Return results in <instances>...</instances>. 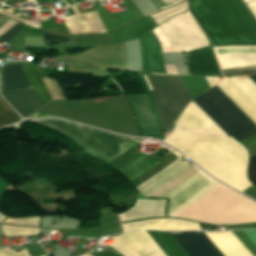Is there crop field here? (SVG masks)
<instances>
[{
	"label": "crop field",
	"mask_w": 256,
	"mask_h": 256,
	"mask_svg": "<svg viewBox=\"0 0 256 256\" xmlns=\"http://www.w3.org/2000/svg\"><path fill=\"white\" fill-rule=\"evenodd\" d=\"M191 97H196L206 91L209 87L205 77L181 76Z\"/></svg>",
	"instance_id": "dafd665d"
},
{
	"label": "crop field",
	"mask_w": 256,
	"mask_h": 256,
	"mask_svg": "<svg viewBox=\"0 0 256 256\" xmlns=\"http://www.w3.org/2000/svg\"><path fill=\"white\" fill-rule=\"evenodd\" d=\"M193 101L228 137L239 141L256 134V125L216 86Z\"/></svg>",
	"instance_id": "d8731c3e"
},
{
	"label": "crop field",
	"mask_w": 256,
	"mask_h": 256,
	"mask_svg": "<svg viewBox=\"0 0 256 256\" xmlns=\"http://www.w3.org/2000/svg\"><path fill=\"white\" fill-rule=\"evenodd\" d=\"M154 22L149 16L133 24L112 31L108 33V35L112 43L136 39L150 31L153 27H155L157 24H155Z\"/></svg>",
	"instance_id": "4a817a6b"
},
{
	"label": "crop field",
	"mask_w": 256,
	"mask_h": 256,
	"mask_svg": "<svg viewBox=\"0 0 256 256\" xmlns=\"http://www.w3.org/2000/svg\"><path fill=\"white\" fill-rule=\"evenodd\" d=\"M40 217L34 218H22V219H7L5 223H13V224H25V225H35L38 226Z\"/></svg>",
	"instance_id": "ae1a2a85"
},
{
	"label": "crop field",
	"mask_w": 256,
	"mask_h": 256,
	"mask_svg": "<svg viewBox=\"0 0 256 256\" xmlns=\"http://www.w3.org/2000/svg\"><path fill=\"white\" fill-rule=\"evenodd\" d=\"M186 9H187V4H186V1H185V2L180 3V4H178L174 7L169 8V9L163 11V12H160V13H157V14H154V15H151V16L153 17V19L158 24V23L168 19L172 15H174L176 13H179V12H182Z\"/></svg>",
	"instance_id": "a9b5d70f"
},
{
	"label": "crop field",
	"mask_w": 256,
	"mask_h": 256,
	"mask_svg": "<svg viewBox=\"0 0 256 256\" xmlns=\"http://www.w3.org/2000/svg\"><path fill=\"white\" fill-rule=\"evenodd\" d=\"M42 35H43V39L48 42L63 43V44H67L71 42L69 36H57V35L48 34L44 32H42Z\"/></svg>",
	"instance_id": "eef30255"
},
{
	"label": "crop field",
	"mask_w": 256,
	"mask_h": 256,
	"mask_svg": "<svg viewBox=\"0 0 256 256\" xmlns=\"http://www.w3.org/2000/svg\"><path fill=\"white\" fill-rule=\"evenodd\" d=\"M0 14H2V15H4V16H7V17H9V18H11V19H14V20H16V21H19V22H21V23H23V22L25 21V19H22V18H20V17H17V16H15V15H13V14H11V13H9V12L3 10V9H0Z\"/></svg>",
	"instance_id": "120bbe31"
},
{
	"label": "crop field",
	"mask_w": 256,
	"mask_h": 256,
	"mask_svg": "<svg viewBox=\"0 0 256 256\" xmlns=\"http://www.w3.org/2000/svg\"><path fill=\"white\" fill-rule=\"evenodd\" d=\"M5 216H3L1 213H0V222H2V220L4 219Z\"/></svg>",
	"instance_id": "b80d0937"
},
{
	"label": "crop field",
	"mask_w": 256,
	"mask_h": 256,
	"mask_svg": "<svg viewBox=\"0 0 256 256\" xmlns=\"http://www.w3.org/2000/svg\"><path fill=\"white\" fill-rule=\"evenodd\" d=\"M32 121L55 129L60 134L76 142L82 149L103 159L105 162H109L117 158L126 139L125 137L111 135L60 120L41 119ZM140 141L142 140L127 138L119 156L138 144Z\"/></svg>",
	"instance_id": "e52e79f7"
},
{
	"label": "crop field",
	"mask_w": 256,
	"mask_h": 256,
	"mask_svg": "<svg viewBox=\"0 0 256 256\" xmlns=\"http://www.w3.org/2000/svg\"><path fill=\"white\" fill-rule=\"evenodd\" d=\"M36 114L57 115L118 134L140 137L133 114L123 96L83 101H50L32 115ZM51 115H37L29 118H60Z\"/></svg>",
	"instance_id": "f4fd0767"
},
{
	"label": "crop field",
	"mask_w": 256,
	"mask_h": 256,
	"mask_svg": "<svg viewBox=\"0 0 256 256\" xmlns=\"http://www.w3.org/2000/svg\"><path fill=\"white\" fill-rule=\"evenodd\" d=\"M165 200H137L126 213L118 215L121 222L164 216Z\"/></svg>",
	"instance_id": "5142ce71"
},
{
	"label": "crop field",
	"mask_w": 256,
	"mask_h": 256,
	"mask_svg": "<svg viewBox=\"0 0 256 256\" xmlns=\"http://www.w3.org/2000/svg\"><path fill=\"white\" fill-rule=\"evenodd\" d=\"M143 71L163 73L164 65L159 43L152 32L139 39Z\"/></svg>",
	"instance_id": "d1516ede"
},
{
	"label": "crop field",
	"mask_w": 256,
	"mask_h": 256,
	"mask_svg": "<svg viewBox=\"0 0 256 256\" xmlns=\"http://www.w3.org/2000/svg\"><path fill=\"white\" fill-rule=\"evenodd\" d=\"M19 120H20V117L1 98L0 99V127L15 123Z\"/></svg>",
	"instance_id": "00972430"
},
{
	"label": "crop field",
	"mask_w": 256,
	"mask_h": 256,
	"mask_svg": "<svg viewBox=\"0 0 256 256\" xmlns=\"http://www.w3.org/2000/svg\"><path fill=\"white\" fill-rule=\"evenodd\" d=\"M217 86L256 123V105L229 78H223Z\"/></svg>",
	"instance_id": "733c2abd"
},
{
	"label": "crop field",
	"mask_w": 256,
	"mask_h": 256,
	"mask_svg": "<svg viewBox=\"0 0 256 256\" xmlns=\"http://www.w3.org/2000/svg\"><path fill=\"white\" fill-rule=\"evenodd\" d=\"M256 84V75L248 76Z\"/></svg>",
	"instance_id": "0bd39190"
},
{
	"label": "crop field",
	"mask_w": 256,
	"mask_h": 256,
	"mask_svg": "<svg viewBox=\"0 0 256 256\" xmlns=\"http://www.w3.org/2000/svg\"><path fill=\"white\" fill-rule=\"evenodd\" d=\"M137 73L145 90L147 87L155 99L166 130H170L174 120L193 98L189 96L179 76L141 72L145 87L140 72ZM147 94L125 96L133 109L142 137L165 130L156 103L148 94L154 101L163 129L153 101Z\"/></svg>",
	"instance_id": "34b2d1b8"
},
{
	"label": "crop field",
	"mask_w": 256,
	"mask_h": 256,
	"mask_svg": "<svg viewBox=\"0 0 256 256\" xmlns=\"http://www.w3.org/2000/svg\"><path fill=\"white\" fill-rule=\"evenodd\" d=\"M175 124L247 168L248 156L245 149L233 138H228L193 101L187 105ZM175 124L171 135L163 142L175 147L210 175L235 189L243 192L252 186L245 175L247 169Z\"/></svg>",
	"instance_id": "ac0d7876"
},
{
	"label": "crop field",
	"mask_w": 256,
	"mask_h": 256,
	"mask_svg": "<svg viewBox=\"0 0 256 256\" xmlns=\"http://www.w3.org/2000/svg\"><path fill=\"white\" fill-rule=\"evenodd\" d=\"M213 49L221 69L256 65V46Z\"/></svg>",
	"instance_id": "3316defc"
},
{
	"label": "crop field",
	"mask_w": 256,
	"mask_h": 256,
	"mask_svg": "<svg viewBox=\"0 0 256 256\" xmlns=\"http://www.w3.org/2000/svg\"><path fill=\"white\" fill-rule=\"evenodd\" d=\"M167 74L178 75L174 65H165Z\"/></svg>",
	"instance_id": "5866460e"
},
{
	"label": "crop field",
	"mask_w": 256,
	"mask_h": 256,
	"mask_svg": "<svg viewBox=\"0 0 256 256\" xmlns=\"http://www.w3.org/2000/svg\"><path fill=\"white\" fill-rule=\"evenodd\" d=\"M124 232L141 229L158 230H199L200 224L190 221H181L175 219H153L141 222L122 224Z\"/></svg>",
	"instance_id": "22f410ed"
},
{
	"label": "crop field",
	"mask_w": 256,
	"mask_h": 256,
	"mask_svg": "<svg viewBox=\"0 0 256 256\" xmlns=\"http://www.w3.org/2000/svg\"><path fill=\"white\" fill-rule=\"evenodd\" d=\"M3 0H0V2H2Z\"/></svg>",
	"instance_id": "c035e120"
},
{
	"label": "crop field",
	"mask_w": 256,
	"mask_h": 256,
	"mask_svg": "<svg viewBox=\"0 0 256 256\" xmlns=\"http://www.w3.org/2000/svg\"><path fill=\"white\" fill-rule=\"evenodd\" d=\"M21 67L28 76L38 98L41 101V104L43 105L52 100L38 73L23 64H21Z\"/></svg>",
	"instance_id": "92a150f3"
},
{
	"label": "crop field",
	"mask_w": 256,
	"mask_h": 256,
	"mask_svg": "<svg viewBox=\"0 0 256 256\" xmlns=\"http://www.w3.org/2000/svg\"><path fill=\"white\" fill-rule=\"evenodd\" d=\"M2 232L5 236H16V235H37L38 229L16 227V226H2Z\"/></svg>",
	"instance_id": "4177f3b9"
},
{
	"label": "crop field",
	"mask_w": 256,
	"mask_h": 256,
	"mask_svg": "<svg viewBox=\"0 0 256 256\" xmlns=\"http://www.w3.org/2000/svg\"><path fill=\"white\" fill-rule=\"evenodd\" d=\"M190 75L221 76L211 47L185 53Z\"/></svg>",
	"instance_id": "28ad6ade"
},
{
	"label": "crop field",
	"mask_w": 256,
	"mask_h": 256,
	"mask_svg": "<svg viewBox=\"0 0 256 256\" xmlns=\"http://www.w3.org/2000/svg\"><path fill=\"white\" fill-rule=\"evenodd\" d=\"M94 256H117V255L111 251H103V252H97Z\"/></svg>",
	"instance_id": "e1f06a70"
},
{
	"label": "crop field",
	"mask_w": 256,
	"mask_h": 256,
	"mask_svg": "<svg viewBox=\"0 0 256 256\" xmlns=\"http://www.w3.org/2000/svg\"><path fill=\"white\" fill-rule=\"evenodd\" d=\"M248 174L256 172V156L249 159ZM250 177L256 182V173L250 174Z\"/></svg>",
	"instance_id": "1d83c4d3"
},
{
	"label": "crop field",
	"mask_w": 256,
	"mask_h": 256,
	"mask_svg": "<svg viewBox=\"0 0 256 256\" xmlns=\"http://www.w3.org/2000/svg\"><path fill=\"white\" fill-rule=\"evenodd\" d=\"M156 35L162 52H186L208 46V41L189 10L158 25Z\"/></svg>",
	"instance_id": "5a996713"
},
{
	"label": "crop field",
	"mask_w": 256,
	"mask_h": 256,
	"mask_svg": "<svg viewBox=\"0 0 256 256\" xmlns=\"http://www.w3.org/2000/svg\"><path fill=\"white\" fill-rule=\"evenodd\" d=\"M3 77L4 91L10 89H21L30 86L19 64L4 66Z\"/></svg>",
	"instance_id": "bc2a9ffb"
},
{
	"label": "crop field",
	"mask_w": 256,
	"mask_h": 256,
	"mask_svg": "<svg viewBox=\"0 0 256 256\" xmlns=\"http://www.w3.org/2000/svg\"><path fill=\"white\" fill-rule=\"evenodd\" d=\"M223 76H239L256 73V66L221 70Z\"/></svg>",
	"instance_id": "730fd06b"
},
{
	"label": "crop field",
	"mask_w": 256,
	"mask_h": 256,
	"mask_svg": "<svg viewBox=\"0 0 256 256\" xmlns=\"http://www.w3.org/2000/svg\"><path fill=\"white\" fill-rule=\"evenodd\" d=\"M123 4L127 11L118 13H107L104 6H96V10L106 31L127 24L143 16L132 1Z\"/></svg>",
	"instance_id": "cbeb9de0"
},
{
	"label": "crop field",
	"mask_w": 256,
	"mask_h": 256,
	"mask_svg": "<svg viewBox=\"0 0 256 256\" xmlns=\"http://www.w3.org/2000/svg\"><path fill=\"white\" fill-rule=\"evenodd\" d=\"M180 156L172 150L159 162L136 153L135 146L109 164L135 187ZM135 188L145 197L169 198L170 217L214 224L256 221L254 201L211 179L183 156Z\"/></svg>",
	"instance_id": "8a807250"
},
{
	"label": "crop field",
	"mask_w": 256,
	"mask_h": 256,
	"mask_svg": "<svg viewBox=\"0 0 256 256\" xmlns=\"http://www.w3.org/2000/svg\"><path fill=\"white\" fill-rule=\"evenodd\" d=\"M72 9L76 14L86 34L106 32L96 11L79 14L76 6H72Z\"/></svg>",
	"instance_id": "214f88e0"
},
{
	"label": "crop field",
	"mask_w": 256,
	"mask_h": 256,
	"mask_svg": "<svg viewBox=\"0 0 256 256\" xmlns=\"http://www.w3.org/2000/svg\"><path fill=\"white\" fill-rule=\"evenodd\" d=\"M188 5L214 44L256 45V20L242 0H190Z\"/></svg>",
	"instance_id": "412701ff"
},
{
	"label": "crop field",
	"mask_w": 256,
	"mask_h": 256,
	"mask_svg": "<svg viewBox=\"0 0 256 256\" xmlns=\"http://www.w3.org/2000/svg\"><path fill=\"white\" fill-rule=\"evenodd\" d=\"M0 256H29L26 249L20 251V252H13L9 249L0 250Z\"/></svg>",
	"instance_id": "750c4746"
},
{
	"label": "crop field",
	"mask_w": 256,
	"mask_h": 256,
	"mask_svg": "<svg viewBox=\"0 0 256 256\" xmlns=\"http://www.w3.org/2000/svg\"><path fill=\"white\" fill-rule=\"evenodd\" d=\"M210 87L214 86L217 84L221 79L220 78H212V77H206Z\"/></svg>",
	"instance_id": "028f5c9d"
},
{
	"label": "crop field",
	"mask_w": 256,
	"mask_h": 256,
	"mask_svg": "<svg viewBox=\"0 0 256 256\" xmlns=\"http://www.w3.org/2000/svg\"><path fill=\"white\" fill-rule=\"evenodd\" d=\"M2 95L22 117L41 106L33 88L5 92Z\"/></svg>",
	"instance_id": "d9b57169"
},
{
	"label": "crop field",
	"mask_w": 256,
	"mask_h": 256,
	"mask_svg": "<svg viewBox=\"0 0 256 256\" xmlns=\"http://www.w3.org/2000/svg\"><path fill=\"white\" fill-rule=\"evenodd\" d=\"M153 1L159 6L161 10L180 2V0H153Z\"/></svg>",
	"instance_id": "bd1437ed"
},
{
	"label": "crop field",
	"mask_w": 256,
	"mask_h": 256,
	"mask_svg": "<svg viewBox=\"0 0 256 256\" xmlns=\"http://www.w3.org/2000/svg\"><path fill=\"white\" fill-rule=\"evenodd\" d=\"M166 256H223L203 232L146 231ZM145 231L114 236L110 244L123 256H165Z\"/></svg>",
	"instance_id": "dd49c442"
},
{
	"label": "crop field",
	"mask_w": 256,
	"mask_h": 256,
	"mask_svg": "<svg viewBox=\"0 0 256 256\" xmlns=\"http://www.w3.org/2000/svg\"><path fill=\"white\" fill-rule=\"evenodd\" d=\"M21 25L17 23L15 26H13L8 32H6L1 38L0 41L7 42L10 40L13 36H15L19 31H21Z\"/></svg>",
	"instance_id": "d3111659"
},
{
	"label": "crop field",
	"mask_w": 256,
	"mask_h": 256,
	"mask_svg": "<svg viewBox=\"0 0 256 256\" xmlns=\"http://www.w3.org/2000/svg\"><path fill=\"white\" fill-rule=\"evenodd\" d=\"M245 3L256 1V0H244ZM248 6L253 13V15L256 17V2L248 3Z\"/></svg>",
	"instance_id": "d32e631a"
}]
</instances>
